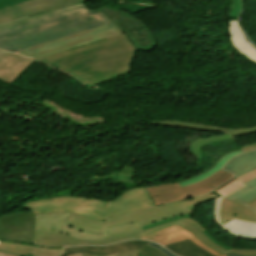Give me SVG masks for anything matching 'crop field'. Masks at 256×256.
<instances>
[{
    "label": "crop field",
    "instance_id": "3",
    "mask_svg": "<svg viewBox=\"0 0 256 256\" xmlns=\"http://www.w3.org/2000/svg\"><path fill=\"white\" fill-rule=\"evenodd\" d=\"M143 235L138 223L105 229L102 222L72 213H60L35 216L32 244L50 247L103 245Z\"/></svg>",
    "mask_w": 256,
    "mask_h": 256
},
{
    "label": "crop field",
    "instance_id": "22",
    "mask_svg": "<svg viewBox=\"0 0 256 256\" xmlns=\"http://www.w3.org/2000/svg\"><path fill=\"white\" fill-rule=\"evenodd\" d=\"M226 136V137H224ZM235 138L234 136H230L228 134H221V135H217V136H213L210 138H199L197 140H195L191 145H190V151L196 156L197 162H199V160L201 159V152H200V147L208 144L210 142H215V141H221V140H228V139H233Z\"/></svg>",
    "mask_w": 256,
    "mask_h": 256
},
{
    "label": "crop field",
    "instance_id": "20",
    "mask_svg": "<svg viewBox=\"0 0 256 256\" xmlns=\"http://www.w3.org/2000/svg\"><path fill=\"white\" fill-rule=\"evenodd\" d=\"M239 153H243L241 150L239 151H234V152H230L226 155H223L219 158V160L216 162V164L210 168L209 170L205 171L204 173L196 176V177H193V178H190V179H187V180H184V181H181V182H178L179 185L183 186V185H186V184H190V183H194V182H198L212 174H214L217 170H219V168L225 164L229 158L239 154Z\"/></svg>",
    "mask_w": 256,
    "mask_h": 256
},
{
    "label": "crop field",
    "instance_id": "8",
    "mask_svg": "<svg viewBox=\"0 0 256 256\" xmlns=\"http://www.w3.org/2000/svg\"><path fill=\"white\" fill-rule=\"evenodd\" d=\"M224 170L231 172L236 178L256 170V150L243 153L225 164ZM246 186L231 193L229 198L243 204L256 199V178L244 183Z\"/></svg>",
    "mask_w": 256,
    "mask_h": 256
},
{
    "label": "crop field",
    "instance_id": "28",
    "mask_svg": "<svg viewBox=\"0 0 256 256\" xmlns=\"http://www.w3.org/2000/svg\"><path fill=\"white\" fill-rule=\"evenodd\" d=\"M147 245H150V246H152V247H154V248H156V249L162 251V252L165 253L167 256H175L173 253H171V252L168 251L167 249H165V248H163V247H161V246H159V245H157V244H154V243H152V242H148ZM162 252H161V253H162ZM165 254H164V255H165Z\"/></svg>",
    "mask_w": 256,
    "mask_h": 256
},
{
    "label": "crop field",
    "instance_id": "16",
    "mask_svg": "<svg viewBox=\"0 0 256 256\" xmlns=\"http://www.w3.org/2000/svg\"><path fill=\"white\" fill-rule=\"evenodd\" d=\"M228 33L234 49L256 63V48L245 39L237 21L228 20Z\"/></svg>",
    "mask_w": 256,
    "mask_h": 256
},
{
    "label": "crop field",
    "instance_id": "4",
    "mask_svg": "<svg viewBox=\"0 0 256 256\" xmlns=\"http://www.w3.org/2000/svg\"><path fill=\"white\" fill-rule=\"evenodd\" d=\"M154 206L145 188L124 192L116 200L102 201L86 197H61L25 203L21 210H31L34 215L73 212L104 220L130 211Z\"/></svg>",
    "mask_w": 256,
    "mask_h": 256
},
{
    "label": "crop field",
    "instance_id": "32",
    "mask_svg": "<svg viewBox=\"0 0 256 256\" xmlns=\"http://www.w3.org/2000/svg\"><path fill=\"white\" fill-rule=\"evenodd\" d=\"M247 206L251 207L253 210L256 211V200L251 202V203H249V204H247Z\"/></svg>",
    "mask_w": 256,
    "mask_h": 256
},
{
    "label": "crop field",
    "instance_id": "17",
    "mask_svg": "<svg viewBox=\"0 0 256 256\" xmlns=\"http://www.w3.org/2000/svg\"><path fill=\"white\" fill-rule=\"evenodd\" d=\"M220 215L222 223H225L233 218L256 222V213H254L248 207L235 203L226 198H223Z\"/></svg>",
    "mask_w": 256,
    "mask_h": 256
},
{
    "label": "crop field",
    "instance_id": "13",
    "mask_svg": "<svg viewBox=\"0 0 256 256\" xmlns=\"http://www.w3.org/2000/svg\"><path fill=\"white\" fill-rule=\"evenodd\" d=\"M33 62L34 60L6 52L0 57V80L10 84Z\"/></svg>",
    "mask_w": 256,
    "mask_h": 256
},
{
    "label": "crop field",
    "instance_id": "35",
    "mask_svg": "<svg viewBox=\"0 0 256 256\" xmlns=\"http://www.w3.org/2000/svg\"><path fill=\"white\" fill-rule=\"evenodd\" d=\"M227 256H239V255H235V254L229 253V254H227Z\"/></svg>",
    "mask_w": 256,
    "mask_h": 256
},
{
    "label": "crop field",
    "instance_id": "14",
    "mask_svg": "<svg viewBox=\"0 0 256 256\" xmlns=\"http://www.w3.org/2000/svg\"><path fill=\"white\" fill-rule=\"evenodd\" d=\"M188 238H190L194 243L201 246L208 252H210L216 256H224V255H221V254L213 251L209 247L201 244L191 233H189L186 230L180 229L179 225L151 233L149 235L143 236L138 239L155 241L164 246L166 244L177 242V241L188 239Z\"/></svg>",
    "mask_w": 256,
    "mask_h": 256
},
{
    "label": "crop field",
    "instance_id": "27",
    "mask_svg": "<svg viewBox=\"0 0 256 256\" xmlns=\"http://www.w3.org/2000/svg\"><path fill=\"white\" fill-rule=\"evenodd\" d=\"M139 252L140 250H132V251L122 252V253H118L110 256H137ZM84 256H99V255L84 254Z\"/></svg>",
    "mask_w": 256,
    "mask_h": 256
},
{
    "label": "crop field",
    "instance_id": "21",
    "mask_svg": "<svg viewBox=\"0 0 256 256\" xmlns=\"http://www.w3.org/2000/svg\"><path fill=\"white\" fill-rule=\"evenodd\" d=\"M181 228L188 230L191 232L201 243L209 246L210 248L226 255V250L222 249L218 245H216L214 242H212L201 230L196 228L195 226L188 224V223H180Z\"/></svg>",
    "mask_w": 256,
    "mask_h": 256
},
{
    "label": "crop field",
    "instance_id": "6",
    "mask_svg": "<svg viewBox=\"0 0 256 256\" xmlns=\"http://www.w3.org/2000/svg\"><path fill=\"white\" fill-rule=\"evenodd\" d=\"M123 33L124 32L120 30L114 23H111L106 26H102V27L94 28L81 33H77L63 39L29 47L15 53L23 54L27 57L38 58V57L58 53L74 47H78L85 44L111 38Z\"/></svg>",
    "mask_w": 256,
    "mask_h": 256
},
{
    "label": "crop field",
    "instance_id": "36",
    "mask_svg": "<svg viewBox=\"0 0 256 256\" xmlns=\"http://www.w3.org/2000/svg\"><path fill=\"white\" fill-rule=\"evenodd\" d=\"M5 52L4 51H0V56L3 55Z\"/></svg>",
    "mask_w": 256,
    "mask_h": 256
},
{
    "label": "crop field",
    "instance_id": "33",
    "mask_svg": "<svg viewBox=\"0 0 256 256\" xmlns=\"http://www.w3.org/2000/svg\"><path fill=\"white\" fill-rule=\"evenodd\" d=\"M26 256H31V255L27 254ZM67 256H83V252L82 253H75V254L67 255Z\"/></svg>",
    "mask_w": 256,
    "mask_h": 256
},
{
    "label": "crop field",
    "instance_id": "23",
    "mask_svg": "<svg viewBox=\"0 0 256 256\" xmlns=\"http://www.w3.org/2000/svg\"><path fill=\"white\" fill-rule=\"evenodd\" d=\"M255 177H256V171L234 180L233 182H231L227 186H225L222 189H220L219 191H217V193L222 194L224 196H227L231 192H233V191L241 188L242 186H244L242 183H244V182H246V181H248L252 178H255Z\"/></svg>",
    "mask_w": 256,
    "mask_h": 256
},
{
    "label": "crop field",
    "instance_id": "5",
    "mask_svg": "<svg viewBox=\"0 0 256 256\" xmlns=\"http://www.w3.org/2000/svg\"><path fill=\"white\" fill-rule=\"evenodd\" d=\"M218 197L220 196H217L215 194H205L203 196L195 197L193 199H187L179 203L160 207H153L129 213L118 218L110 219L105 222V225L106 228H108L117 225L138 222L141 226H145L147 224L155 223L163 219L193 213L196 205Z\"/></svg>",
    "mask_w": 256,
    "mask_h": 256
},
{
    "label": "crop field",
    "instance_id": "15",
    "mask_svg": "<svg viewBox=\"0 0 256 256\" xmlns=\"http://www.w3.org/2000/svg\"><path fill=\"white\" fill-rule=\"evenodd\" d=\"M146 241L143 240H130L106 247H93V246H83V247H71L64 248L65 254H71L74 252L90 253V254H99V255H109L117 252L127 251L131 249H142L146 244Z\"/></svg>",
    "mask_w": 256,
    "mask_h": 256
},
{
    "label": "crop field",
    "instance_id": "2",
    "mask_svg": "<svg viewBox=\"0 0 256 256\" xmlns=\"http://www.w3.org/2000/svg\"><path fill=\"white\" fill-rule=\"evenodd\" d=\"M135 49L126 35L38 58L90 87L126 74Z\"/></svg>",
    "mask_w": 256,
    "mask_h": 256
},
{
    "label": "crop field",
    "instance_id": "9",
    "mask_svg": "<svg viewBox=\"0 0 256 256\" xmlns=\"http://www.w3.org/2000/svg\"><path fill=\"white\" fill-rule=\"evenodd\" d=\"M33 214L31 211H19L0 216V239L31 244L34 232Z\"/></svg>",
    "mask_w": 256,
    "mask_h": 256
},
{
    "label": "crop field",
    "instance_id": "1",
    "mask_svg": "<svg viewBox=\"0 0 256 256\" xmlns=\"http://www.w3.org/2000/svg\"><path fill=\"white\" fill-rule=\"evenodd\" d=\"M111 22L80 3L0 25V48L14 52Z\"/></svg>",
    "mask_w": 256,
    "mask_h": 256
},
{
    "label": "crop field",
    "instance_id": "19",
    "mask_svg": "<svg viewBox=\"0 0 256 256\" xmlns=\"http://www.w3.org/2000/svg\"><path fill=\"white\" fill-rule=\"evenodd\" d=\"M179 256H213L190 239L165 246Z\"/></svg>",
    "mask_w": 256,
    "mask_h": 256
},
{
    "label": "crop field",
    "instance_id": "7",
    "mask_svg": "<svg viewBox=\"0 0 256 256\" xmlns=\"http://www.w3.org/2000/svg\"><path fill=\"white\" fill-rule=\"evenodd\" d=\"M231 177V174L219 170L213 176L198 183L181 187L177 182H174L166 185L147 187L146 190L153 200L154 205L157 206L210 192Z\"/></svg>",
    "mask_w": 256,
    "mask_h": 256
},
{
    "label": "crop field",
    "instance_id": "29",
    "mask_svg": "<svg viewBox=\"0 0 256 256\" xmlns=\"http://www.w3.org/2000/svg\"><path fill=\"white\" fill-rule=\"evenodd\" d=\"M107 14H108V13H107ZM109 15H110V14H109ZM110 16H111L112 19H114L112 15H110ZM115 24H117L116 21H115ZM117 25H118V24H117ZM120 27H123V26L121 25ZM127 30H128V29H127ZM128 32L131 33V35L133 36V38H134V37L140 38L139 36H137V32H136L135 29L128 30ZM128 32H127V33H128Z\"/></svg>",
    "mask_w": 256,
    "mask_h": 256
},
{
    "label": "crop field",
    "instance_id": "30",
    "mask_svg": "<svg viewBox=\"0 0 256 256\" xmlns=\"http://www.w3.org/2000/svg\"><path fill=\"white\" fill-rule=\"evenodd\" d=\"M253 149H256V144L246 146V147L242 148V151L245 152V151H249V150H253Z\"/></svg>",
    "mask_w": 256,
    "mask_h": 256
},
{
    "label": "crop field",
    "instance_id": "25",
    "mask_svg": "<svg viewBox=\"0 0 256 256\" xmlns=\"http://www.w3.org/2000/svg\"><path fill=\"white\" fill-rule=\"evenodd\" d=\"M232 8L229 13L228 18L230 19H237L241 9H242V0H232Z\"/></svg>",
    "mask_w": 256,
    "mask_h": 256
},
{
    "label": "crop field",
    "instance_id": "34",
    "mask_svg": "<svg viewBox=\"0 0 256 256\" xmlns=\"http://www.w3.org/2000/svg\"><path fill=\"white\" fill-rule=\"evenodd\" d=\"M0 256H19V255H13V254H8V253H1Z\"/></svg>",
    "mask_w": 256,
    "mask_h": 256
},
{
    "label": "crop field",
    "instance_id": "12",
    "mask_svg": "<svg viewBox=\"0 0 256 256\" xmlns=\"http://www.w3.org/2000/svg\"><path fill=\"white\" fill-rule=\"evenodd\" d=\"M222 198L223 197L216 199L214 206V217L221 228L231 236L247 240H256V223L233 219L222 225L219 216Z\"/></svg>",
    "mask_w": 256,
    "mask_h": 256
},
{
    "label": "crop field",
    "instance_id": "26",
    "mask_svg": "<svg viewBox=\"0 0 256 256\" xmlns=\"http://www.w3.org/2000/svg\"><path fill=\"white\" fill-rule=\"evenodd\" d=\"M143 256H166L163 253H161L160 251L149 247L147 245L144 246V248L142 249L141 253Z\"/></svg>",
    "mask_w": 256,
    "mask_h": 256
},
{
    "label": "crop field",
    "instance_id": "10",
    "mask_svg": "<svg viewBox=\"0 0 256 256\" xmlns=\"http://www.w3.org/2000/svg\"><path fill=\"white\" fill-rule=\"evenodd\" d=\"M87 0H39L25 5L0 11V24L52 11Z\"/></svg>",
    "mask_w": 256,
    "mask_h": 256
},
{
    "label": "crop field",
    "instance_id": "37",
    "mask_svg": "<svg viewBox=\"0 0 256 256\" xmlns=\"http://www.w3.org/2000/svg\"><path fill=\"white\" fill-rule=\"evenodd\" d=\"M138 256H142V255L139 254Z\"/></svg>",
    "mask_w": 256,
    "mask_h": 256
},
{
    "label": "crop field",
    "instance_id": "31",
    "mask_svg": "<svg viewBox=\"0 0 256 256\" xmlns=\"http://www.w3.org/2000/svg\"><path fill=\"white\" fill-rule=\"evenodd\" d=\"M236 178H232L229 181L225 182L224 184H222L221 186H219L218 188H216L215 190H213L212 192H216L217 190H219L220 188H222L223 186H225L226 184L230 183L231 181H233Z\"/></svg>",
    "mask_w": 256,
    "mask_h": 256
},
{
    "label": "crop field",
    "instance_id": "18",
    "mask_svg": "<svg viewBox=\"0 0 256 256\" xmlns=\"http://www.w3.org/2000/svg\"><path fill=\"white\" fill-rule=\"evenodd\" d=\"M152 124L162 125V126H170V127H178V128L226 132V133H228L230 135H234V136H239V135H243V134H247V133L256 131V126L244 128V129H238V130H231V129H224V128H219V127H214V126L201 125V124H195V123H187V122H179V121H159V122H152Z\"/></svg>",
    "mask_w": 256,
    "mask_h": 256
},
{
    "label": "crop field",
    "instance_id": "24",
    "mask_svg": "<svg viewBox=\"0 0 256 256\" xmlns=\"http://www.w3.org/2000/svg\"><path fill=\"white\" fill-rule=\"evenodd\" d=\"M32 1H35V0H0V10L25 4Z\"/></svg>",
    "mask_w": 256,
    "mask_h": 256
},
{
    "label": "crop field",
    "instance_id": "11",
    "mask_svg": "<svg viewBox=\"0 0 256 256\" xmlns=\"http://www.w3.org/2000/svg\"><path fill=\"white\" fill-rule=\"evenodd\" d=\"M191 216H192V214H189L186 216H180L177 218H171V219L163 220L156 224H151V225H148V226L142 227V228H143L144 234L146 235V234H149L151 232H154V231L166 228V227L178 225L179 222H189V223L195 225L196 227H198L199 229H201L212 241H214L216 244L223 247L227 251L233 252V253H236L239 255H244V256H256V249H233V248L223 244L222 242L214 239V237L206 230V228L203 225H201L198 221L191 218Z\"/></svg>",
    "mask_w": 256,
    "mask_h": 256
}]
</instances>
